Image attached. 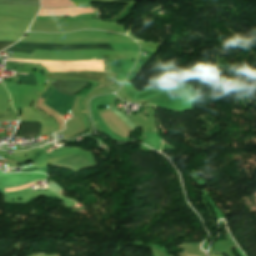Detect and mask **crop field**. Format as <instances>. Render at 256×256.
<instances>
[{
	"instance_id": "8a807250",
	"label": "crop field",
	"mask_w": 256,
	"mask_h": 256,
	"mask_svg": "<svg viewBox=\"0 0 256 256\" xmlns=\"http://www.w3.org/2000/svg\"><path fill=\"white\" fill-rule=\"evenodd\" d=\"M24 43L18 42L13 45L15 47H20ZM10 47L6 50L17 51V52H27L32 53L35 49L40 50H74V49H105L111 50L112 47L108 44H46V43H26L20 48Z\"/></svg>"
},
{
	"instance_id": "ac0d7876",
	"label": "crop field",
	"mask_w": 256,
	"mask_h": 256,
	"mask_svg": "<svg viewBox=\"0 0 256 256\" xmlns=\"http://www.w3.org/2000/svg\"><path fill=\"white\" fill-rule=\"evenodd\" d=\"M42 98L47 99L45 105L55 109L60 115L69 112L74 102V97L60 94L51 86Z\"/></svg>"
},
{
	"instance_id": "34b2d1b8",
	"label": "crop field",
	"mask_w": 256,
	"mask_h": 256,
	"mask_svg": "<svg viewBox=\"0 0 256 256\" xmlns=\"http://www.w3.org/2000/svg\"><path fill=\"white\" fill-rule=\"evenodd\" d=\"M42 124L37 120H20V125L13 137L39 136Z\"/></svg>"
},
{
	"instance_id": "412701ff",
	"label": "crop field",
	"mask_w": 256,
	"mask_h": 256,
	"mask_svg": "<svg viewBox=\"0 0 256 256\" xmlns=\"http://www.w3.org/2000/svg\"><path fill=\"white\" fill-rule=\"evenodd\" d=\"M56 81L52 85L55 87V89L63 94H68V95H74L75 93L79 92L82 90L87 82L84 81H59V80H54Z\"/></svg>"
},
{
	"instance_id": "f4fd0767",
	"label": "crop field",
	"mask_w": 256,
	"mask_h": 256,
	"mask_svg": "<svg viewBox=\"0 0 256 256\" xmlns=\"http://www.w3.org/2000/svg\"><path fill=\"white\" fill-rule=\"evenodd\" d=\"M51 78H61V79H90V80H97V81H106V73H56L47 75Z\"/></svg>"
},
{
	"instance_id": "dd49c442",
	"label": "crop field",
	"mask_w": 256,
	"mask_h": 256,
	"mask_svg": "<svg viewBox=\"0 0 256 256\" xmlns=\"http://www.w3.org/2000/svg\"><path fill=\"white\" fill-rule=\"evenodd\" d=\"M54 165L66 166L74 169L75 171L91 166V164L87 161V159L81 155H73V156L67 157L57 162Z\"/></svg>"
},
{
	"instance_id": "e52e79f7",
	"label": "crop field",
	"mask_w": 256,
	"mask_h": 256,
	"mask_svg": "<svg viewBox=\"0 0 256 256\" xmlns=\"http://www.w3.org/2000/svg\"><path fill=\"white\" fill-rule=\"evenodd\" d=\"M0 4L39 6V0H0Z\"/></svg>"
},
{
	"instance_id": "d8731c3e",
	"label": "crop field",
	"mask_w": 256,
	"mask_h": 256,
	"mask_svg": "<svg viewBox=\"0 0 256 256\" xmlns=\"http://www.w3.org/2000/svg\"><path fill=\"white\" fill-rule=\"evenodd\" d=\"M132 131H134L137 127L134 124L132 118H127L126 116H124L121 112H119L118 110L112 108L111 109Z\"/></svg>"
},
{
	"instance_id": "5a996713",
	"label": "crop field",
	"mask_w": 256,
	"mask_h": 256,
	"mask_svg": "<svg viewBox=\"0 0 256 256\" xmlns=\"http://www.w3.org/2000/svg\"><path fill=\"white\" fill-rule=\"evenodd\" d=\"M23 74H28V73H23ZM23 74H20V78L18 79L19 82L37 83L35 73H29V75H23Z\"/></svg>"
},
{
	"instance_id": "3316defc",
	"label": "crop field",
	"mask_w": 256,
	"mask_h": 256,
	"mask_svg": "<svg viewBox=\"0 0 256 256\" xmlns=\"http://www.w3.org/2000/svg\"><path fill=\"white\" fill-rule=\"evenodd\" d=\"M14 42H9V41H0V50L10 46L11 44H13Z\"/></svg>"
}]
</instances>
